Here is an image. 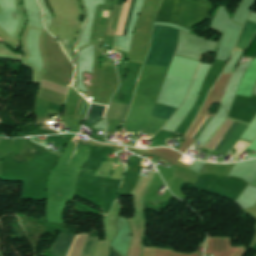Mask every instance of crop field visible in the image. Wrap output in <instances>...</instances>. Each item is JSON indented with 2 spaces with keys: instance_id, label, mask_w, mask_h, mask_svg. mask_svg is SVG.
<instances>
[{
  "instance_id": "8a807250",
  "label": "crop field",
  "mask_w": 256,
  "mask_h": 256,
  "mask_svg": "<svg viewBox=\"0 0 256 256\" xmlns=\"http://www.w3.org/2000/svg\"><path fill=\"white\" fill-rule=\"evenodd\" d=\"M178 30L155 26L148 57L144 64L168 66L175 51Z\"/></svg>"
},
{
  "instance_id": "ac0d7876",
  "label": "crop field",
  "mask_w": 256,
  "mask_h": 256,
  "mask_svg": "<svg viewBox=\"0 0 256 256\" xmlns=\"http://www.w3.org/2000/svg\"><path fill=\"white\" fill-rule=\"evenodd\" d=\"M74 237H75L74 235H68L66 233L61 232L56 243L54 244V246L52 248V255L53 256H66V251ZM77 237H78V235L72 241V243L67 251V256H69V252H70L72 245ZM97 240H98L97 237L88 235L86 241L84 242V244L82 246L80 256H92Z\"/></svg>"
},
{
  "instance_id": "34b2d1b8",
  "label": "crop field",
  "mask_w": 256,
  "mask_h": 256,
  "mask_svg": "<svg viewBox=\"0 0 256 256\" xmlns=\"http://www.w3.org/2000/svg\"><path fill=\"white\" fill-rule=\"evenodd\" d=\"M246 127H247V125L234 122L233 125L230 127V129L226 132V134L219 141V143L215 146L214 150L226 153L227 150L230 148V146L233 144V142L240 137V135L243 133V131L246 129Z\"/></svg>"
},
{
  "instance_id": "412701ff",
  "label": "crop field",
  "mask_w": 256,
  "mask_h": 256,
  "mask_svg": "<svg viewBox=\"0 0 256 256\" xmlns=\"http://www.w3.org/2000/svg\"><path fill=\"white\" fill-rule=\"evenodd\" d=\"M256 32V25L246 21L235 46L244 52Z\"/></svg>"
},
{
  "instance_id": "f4fd0767",
  "label": "crop field",
  "mask_w": 256,
  "mask_h": 256,
  "mask_svg": "<svg viewBox=\"0 0 256 256\" xmlns=\"http://www.w3.org/2000/svg\"><path fill=\"white\" fill-rule=\"evenodd\" d=\"M131 2H132V0H128L127 3L123 5V9H122L121 17H120V22H119V26H118L116 35H124L126 20H127L128 13H129V10H130ZM134 2H135V0H133V2H132L131 10H130L129 17H128V20H127L125 35H127L128 25H129L130 17H131V14H132Z\"/></svg>"
},
{
  "instance_id": "dd49c442",
  "label": "crop field",
  "mask_w": 256,
  "mask_h": 256,
  "mask_svg": "<svg viewBox=\"0 0 256 256\" xmlns=\"http://www.w3.org/2000/svg\"><path fill=\"white\" fill-rule=\"evenodd\" d=\"M175 111H176V108H172V107H168V106L156 103L151 115L168 120Z\"/></svg>"
},
{
  "instance_id": "e52e79f7",
  "label": "crop field",
  "mask_w": 256,
  "mask_h": 256,
  "mask_svg": "<svg viewBox=\"0 0 256 256\" xmlns=\"http://www.w3.org/2000/svg\"><path fill=\"white\" fill-rule=\"evenodd\" d=\"M105 111V107L92 104L87 114L86 121L91 125L102 119V115ZM104 116V115H103Z\"/></svg>"
},
{
  "instance_id": "d8731c3e",
  "label": "crop field",
  "mask_w": 256,
  "mask_h": 256,
  "mask_svg": "<svg viewBox=\"0 0 256 256\" xmlns=\"http://www.w3.org/2000/svg\"><path fill=\"white\" fill-rule=\"evenodd\" d=\"M59 42H60L62 48L64 49L66 55L68 56V58L72 62V49H71L70 41L69 40H63V41H59Z\"/></svg>"
},
{
  "instance_id": "5a996713",
  "label": "crop field",
  "mask_w": 256,
  "mask_h": 256,
  "mask_svg": "<svg viewBox=\"0 0 256 256\" xmlns=\"http://www.w3.org/2000/svg\"><path fill=\"white\" fill-rule=\"evenodd\" d=\"M107 20H108V19L98 18L96 24L106 26Z\"/></svg>"
},
{
  "instance_id": "3316defc",
  "label": "crop field",
  "mask_w": 256,
  "mask_h": 256,
  "mask_svg": "<svg viewBox=\"0 0 256 256\" xmlns=\"http://www.w3.org/2000/svg\"><path fill=\"white\" fill-rule=\"evenodd\" d=\"M110 256H119L113 248H111Z\"/></svg>"
},
{
  "instance_id": "28ad6ade",
  "label": "crop field",
  "mask_w": 256,
  "mask_h": 256,
  "mask_svg": "<svg viewBox=\"0 0 256 256\" xmlns=\"http://www.w3.org/2000/svg\"><path fill=\"white\" fill-rule=\"evenodd\" d=\"M109 15H110V13L105 12L103 17L108 18V17H109Z\"/></svg>"
},
{
  "instance_id": "d1516ede",
  "label": "crop field",
  "mask_w": 256,
  "mask_h": 256,
  "mask_svg": "<svg viewBox=\"0 0 256 256\" xmlns=\"http://www.w3.org/2000/svg\"><path fill=\"white\" fill-rule=\"evenodd\" d=\"M121 4H122V0H118L117 5H120V6H121Z\"/></svg>"
}]
</instances>
